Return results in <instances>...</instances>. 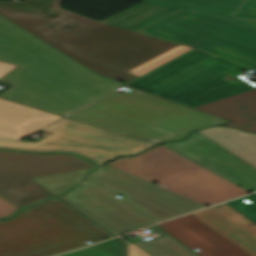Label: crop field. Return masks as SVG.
<instances>
[{
	"mask_svg": "<svg viewBox=\"0 0 256 256\" xmlns=\"http://www.w3.org/2000/svg\"><path fill=\"white\" fill-rule=\"evenodd\" d=\"M134 90L113 92L43 130L53 133L37 143L0 140V147L30 151L78 152L98 163L133 155L162 141L186 136L192 130L228 122L220 118Z\"/></svg>",
	"mask_w": 256,
	"mask_h": 256,
	"instance_id": "crop-field-1",
	"label": "crop field"
},
{
	"mask_svg": "<svg viewBox=\"0 0 256 256\" xmlns=\"http://www.w3.org/2000/svg\"><path fill=\"white\" fill-rule=\"evenodd\" d=\"M0 15L97 73L126 83V71L179 45L60 9V0L0 1Z\"/></svg>",
	"mask_w": 256,
	"mask_h": 256,
	"instance_id": "crop-field-2",
	"label": "crop field"
},
{
	"mask_svg": "<svg viewBox=\"0 0 256 256\" xmlns=\"http://www.w3.org/2000/svg\"><path fill=\"white\" fill-rule=\"evenodd\" d=\"M0 60L20 65L0 78L1 98L66 115L123 85L88 70L0 16Z\"/></svg>",
	"mask_w": 256,
	"mask_h": 256,
	"instance_id": "crop-field-3",
	"label": "crop field"
},
{
	"mask_svg": "<svg viewBox=\"0 0 256 256\" xmlns=\"http://www.w3.org/2000/svg\"><path fill=\"white\" fill-rule=\"evenodd\" d=\"M242 69L250 70L193 48L128 84L256 133V84L240 77ZM225 75L239 82L225 81Z\"/></svg>",
	"mask_w": 256,
	"mask_h": 256,
	"instance_id": "crop-field-4",
	"label": "crop field"
},
{
	"mask_svg": "<svg viewBox=\"0 0 256 256\" xmlns=\"http://www.w3.org/2000/svg\"><path fill=\"white\" fill-rule=\"evenodd\" d=\"M117 193L159 221L206 206L108 166L92 172L61 198L115 234L157 223L125 198L116 197Z\"/></svg>",
	"mask_w": 256,
	"mask_h": 256,
	"instance_id": "crop-field-5",
	"label": "crop field"
},
{
	"mask_svg": "<svg viewBox=\"0 0 256 256\" xmlns=\"http://www.w3.org/2000/svg\"><path fill=\"white\" fill-rule=\"evenodd\" d=\"M140 1L101 22L185 45L237 17L256 20V0Z\"/></svg>",
	"mask_w": 256,
	"mask_h": 256,
	"instance_id": "crop-field-6",
	"label": "crop field"
},
{
	"mask_svg": "<svg viewBox=\"0 0 256 256\" xmlns=\"http://www.w3.org/2000/svg\"><path fill=\"white\" fill-rule=\"evenodd\" d=\"M107 236L110 235L54 197L0 222V256H50Z\"/></svg>",
	"mask_w": 256,
	"mask_h": 256,
	"instance_id": "crop-field-7",
	"label": "crop field"
},
{
	"mask_svg": "<svg viewBox=\"0 0 256 256\" xmlns=\"http://www.w3.org/2000/svg\"><path fill=\"white\" fill-rule=\"evenodd\" d=\"M106 165L206 205L250 193L161 145Z\"/></svg>",
	"mask_w": 256,
	"mask_h": 256,
	"instance_id": "crop-field-8",
	"label": "crop field"
},
{
	"mask_svg": "<svg viewBox=\"0 0 256 256\" xmlns=\"http://www.w3.org/2000/svg\"><path fill=\"white\" fill-rule=\"evenodd\" d=\"M163 145L251 192L256 191V168L196 131L186 139Z\"/></svg>",
	"mask_w": 256,
	"mask_h": 256,
	"instance_id": "crop-field-9",
	"label": "crop field"
},
{
	"mask_svg": "<svg viewBox=\"0 0 256 256\" xmlns=\"http://www.w3.org/2000/svg\"><path fill=\"white\" fill-rule=\"evenodd\" d=\"M187 46L196 47L256 71V23L248 19L238 18Z\"/></svg>",
	"mask_w": 256,
	"mask_h": 256,
	"instance_id": "crop-field-10",
	"label": "crop field"
},
{
	"mask_svg": "<svg viewBox=\"0 0 256 256\" xmlns=\"http://www.w3.org/2000/svg\"><path fill=\"white\" fill-rule=\"evenodd\" d=\"M91 166L92 163L70 154L0 151V183Z\"/></svg>",
	"mask_w": 256,
	"mask_h": 256,
	"instance_id": "crop-field-11",
	"label": "crop field"
},
{
	"mask_svg": "<svg viewBox=\"0 0 256 256\" xmlns=\"http://www.w3.org/2000/svg\"><path fill=\"white\" fill-rule=\"evenodd\" d=\"M158 225L200 256H250L191 214Z\"/></svg>",
	"mask_w": 256,
	"mask_h": 256,
	"instance_id": "crop-field-12",
	"label": "crop field"
},
{
	"mask_svg": "<svg viewBox=\"0 0 256 256\" xmlns=\"http://www.w3.org/2000/svg\"><path fill=\"white\" fill-rule=\"evenodd\" d=\"M192 214L251 256H256V224L228 204Z\"/></svg>",
	"mask_w": 256,
	"mask_h": 256,
	"instance_id": "crop-field-13",
	"label": "crop field"
},
{
	"mask_svg": "<svg viewBox=\"0 0 256 256\" xmlns=\"http://www.w3.org/2000/svg\"><path fill=\"white\" fill-rule=\"evenodd\" d=\"M60 117L0 99V138L18 139Z\"/></svg>",
	"mask_w": 256,
	"mask_h": 256,
	"instance_id": "crop-field-14",
	"label": "crop field"
},
{
	"mask_svg": "<svg viewBox=\"0 0 256 256\" xmlns=\"http://www.w3.org/2000/svg\"><path fill=\"white\" fill-rule=\"evenodd\" d=\"M198 132L256 167V134L221 126L198 130Z\"/></svg>",
	"mask_w": 256,
	"mask_h": 256,
	"instance_id": "crop-field-15",
	"label": "crop field"
},
{
	"mask_svg": "<svg viewBox=\"0 0 256 256\" xmlns=\"http://www.w3.org/2000/svg\"><path fill=\"white\" fill-rule=\"evenodd\" d=\"M49 195L53 194L31 179L0 184V196L20 208Z\"/></svg>",
	"mask_w": 256,
	"mask_h": 256,
	"instance_id": "crop-field-16",
	"label": "crop field"
},
{
	"mask_svg": "<svg viewBox=\"0 0 256 256\" xmlns=\"http://www.w3.org/2000/svg\"><path fill=\"white\" fill-rule=\"evenodd\" d=\"M149 228H154L158 232H160L165 237L154 240L151 242H146L143 240L133 242L135 245H137L139 248L147 252L151 256H197L188 249H186L184 246L164 234L162 231L157 229L154 226H151Z\"/></svg>",
	"mask_w": 256,
	"mask_h": 256,
	"instance_id": "crop-field-17",
	"label": "crop field"
},
{
	"mask_svg": "<svg viewBox=\"0 0 256 256\" xmlns=\"http://www.w3.org/2000/svg\"><path fill=\"white\" fill-rule=\"evenodd\" d=\"M93 168L94 167L41 176L33 178V180L50 190L55 195H59L77 184L86 172Z\"/></svg>",
	"mask_w": 256,
	"mask_h": 256,
	"instance_id": "crop-field-18",
	"label": "crop field"
},
{
	"mask_svg": "<svg viewBox=\"0 0 256 256\" xmlns=\"http://www.w3.org/2000/svg\"><path fill=\"white\" fill-rule=\"evenodd\" d=\"M189 49H191V47L180 45V46H178V47H176V48H174V49H172V50L128 71V72L131 74L140 76V75L152 70L153 68L165 63L166 61L180 55L181 53H183Z\"/></svg>",
	"mask_w": 256,
	"mask_h": 256,
	"instance_id": "crop-field-19",
	"label": "crop field"
},
{
	"mask_svg": "<svg viewBox=\"0 0 256 256\" xmlns=\"http://www.w3.org/2000/svg\"><path fill=\"white\" fill-rule=\"evenodd\" d=\"M227 203L252 221L256 222V194L245 196Z\"/></svg>",
	"mask_w": 256,
	"mask_h": 256,
	"instance_id": "crop-field-20",
	"label": "crop field"
},
{
	"mask_svg": "<svg viewBox=\"0 0 256 256\" xmlns=\"http://www.w3.org/2000/svg\"><path fill=\"white\" fill-rule=\"evenodd\" d=\"M98 247L106 251L111 256H121L122 245L116 238L106 240L104 242L96 244Z\"/></svg>",
	"mask_w": 256,
	"mask_h": 256,
	"instance_id": "crop-field-21",
	"label": "crop field"
},
{
	"mask_svg": "<svg viewBox=\"0 0 256 256\" xmlns=\"http://www.w3.org/2000/svg\"><path fill=\"white\" fill-rule=\"evenodd\" d=\"M19 208L0 197V218L12 216Z\"/></svg>",
	"mask_w": 256,
	"mask_h": 256,
	"instance_id": "crop-field-22",
	"label": "crop field"
},
{
	"mask_svg": "<svg viewBox=\"0 0 256 256\" xmlns=\"http://www.w3.org/2000/svg\"><path fill=\"white\" fill-rule=\"evenodd\" d=\"M127 256H149L147 253L139 249L132 243H129V251Z\"/></svg>",
	"mask_w": 256,
	"mask_h": 256,
	"instance_id": "crop-field-23",
	"label": "crop field"
},
{
	"mask_svg": "<svg viewBox=\"0 0 256 256\" xmlns=\"http://www.w3.org/2000/svg\"><path fill=\"white\" fill-rule=\"evenodd\" d=\"M16 67H17V65H13V64H9V63L0 61V77H2L3 75L10 72L11 70H13Z\"/></svg>",
	"mask_w": 256,
	"mask_h": 256,
	"instance_id": "crop-field-24",
	"label": "crop field"
}]
</instances>
